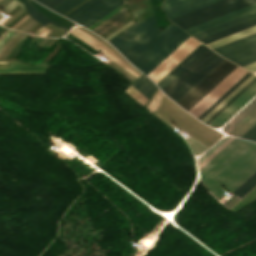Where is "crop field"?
I'll list each match as a JSON object with an SVG mask.
<instances>
[{
  "label": "crop field",
  "instance_id": "crop-field-48",
  "mask_svg": "<svg viewBox=\"0 0 256 256\" xmlns=\"http://www.w3.org/2000/svg\"><path fill=\"white\" fill-rule=\"evenodd\" d=\"M26 16V15H25ZM29 16L27 15L26 17H24L22 20H20L17 24H15L13 27H11V29L16 28L18 25H20L24 20H26Z\"/></svg>",
  "mask_w": 256,
  "mask_h": 256
},
{
  "label": "crop field",
  "instance_id": "crop-field-45",
  "mask_svg": "<svg viewBox=\"0 0 256 256\" xmlns=\"http://www.w3.org/2000/svg\"><path fill=\"white\" fill-rule=\"evenodd\" d=\"M113 64L115 67H117L118 69H120L121 71H123L125 74H127L128 76H130L132 79L135 80L136 77L132 76L131 74H129L128 72H126L125 70H123L121 67H119L117 64H115L114 62L111 63Z\"/></svg>",
  "mask_w": 256,
  "mask_h": 256
},
{
  "label": "crop field",
  "instance_id": "crop-field-35",
  "mask_svg": "<svg viewBox=\"0 0 256 256\" xmlns=\"http://www.w3.org/2000/svg\"><path fill=\"white\" fill-rule=\"evenodd\" d=\"M229 137H226L215 144L210 150H208L203 156L200 157L199 164L203 162L209 155H211L222 143H224Z\"/></svg>",
  "mask_w": 256,
  "mask_h": 256
},
{
  "label": "crop field",
  "instance_id": "crop-field-22",
  "mask_svg": "<svg viewBox=\"0 0 256 256\" xmlns=\"http://www.w3.org/2000/svg\"><path fill=\"white\" fill-rule=\"evenodd\" d=\"M28 14L34 18L36 21H38L39 23L43 24V25H46L48 24L49 22L65 31L68 32L69 29L61 26V25H58L56 23H54L52 20H50L49 18L45 17L44 15L40 14L35 8H33L29 2L26 0L23 2Z\"/></svg>",
  "mask_w": 256,
  "mask_h": 256
},
{
  "label": "crop field",
  "instance_id": "crop-field-39",
  "mask_svg": "<svg viewBox=\"0 0 256 256\" xmlns=\"http://www.w3.org/2000/svg\"><path fill=\"white\" fill-rule=\"evenodd\" d=\"M234 138L231 137L228 141H226L220 148H218L208 159H206L200 166H198V169H200L202 166H204L211 158H213L221 149H223L230 141H232Z\"/></svg>",
  "mask_w": 256,
  "mask_h": 256
},
{
  "label": "crop field",
  "instance_id": "crop-field-11",
  "mask_svg": "<svg viewBox=\"0 0 256 256\" xmlns=\"http://www.w3.org/2000/svg\"><path fill=\"white\" fill-rule=\"evenodd\" d=\"M256 96V82L253 83L245 92H243L234 102H232L224 111H222L208 125L211 127H221L252 98Z\"/></svg>",
  "mask_w": 256,
  "mask_h": 256
},
{
  "label": "crop field",
  "instance_id": "crop-field-52",
  "mask_svg": "<svg viewBox=\"0 0 256 256\" xmlns=\"http://www.w3.org/2000/svg\"><path fill=\"white\" fill-rule=\"evenodd\" d=\"M16 34H17V33H16ZM16 34H14L13 36H11V37L7 40V42H8L12 37H14ZM7 42H6V43H7ZM6 43H5V44H6ZM5 44H4V45H5ZM4 45H3V46H4ZM3 46H2V47H3ZM2 47L0 48V50L2 49Z\"/></svg>",
  "mask_w": 256,
  "mask_h": 256
},
{
  "label": "crop field",
  "instance_id": "crop-field-21",
  "mask_svg": "<svg viewBox=\"0 0 256 256\" xmlns=\"http://www.w3.org/2000/svg\"><path fill=\"white\" fill-rule=\"evenodd\" d=\"M254 123H256V108L249 115H247L237 126H235L230 132L232 135L240 137ZM228 134L230 135V133Z\"/></svg>",
  "mask_w": 256,
  "mask_h": 256
},
{
  "label": "crop field",
  "instance_id": "crop-field-49",
  "mask_svg": "<svg viewBox=\"0 0 256 256\" xmlns=\"http://www.w3.org/2000/svg\"><path fill=\"white\" fill-rule=\"evenodd\" d=\"M9 1H10V0H1V1H0V8H1L2 6H4L6 3H8ZM6 5H7V4H6ZM6 5H5V6H6ZM2 8H3V7H2ZM2 8H1V9H2ZM1 9H0V10H1Z\"/></svg>",
  "mask_w": 256,
  "mask_h": 256
},
{
  "label": "crop field",
  "instance_id": "crop-field-24",
  "mask_svg": "<svg viewBox=\"0 0 256 256\" xmlns=\"http://www.w3.org/2000/svg\"><path fill=\"white\" fill-rule=\"evenodd\" d=\"M254 77L255 75L252 74L238 88H236L227 98H225L217 107H215L207 116H205L201 121L205 123L210 117H212L223 105H225L236 93H238Z\"/></svg>",
  "mask_w": 256,
  "mask_h": 256
},
{
  "label": "crop field",
  "instance_id": "crop-field-33",
  "mask_svg": "<svg viewBox=\"0 0 256 256\" xmlns=\"http://www.w3.org/2000/svg\"><path fill=\"white\" fill-rule=\"evenodd\" d=\"M256 81V77L249 82L238 94H236L225 106H223L212 118H210L206 123L208 124L212 119H214L222 110H224L233 100H235L243 91H245L253 82Z\"/></svg>",
  "mask_w": 256,
  "mask_h": 256
},
{
  "label": "crop field",
  "instance_id": "crop-field-9",
  "mask_svg": "<svg viewBox=\"0 0 256 256\" xmlns=\"http://www.w3.org/2000/svg\"><path fill=\"white\" fill-rule=\"evenodd\" d=\"M200 42L193 37H189L175 51H173L164 61H162L148 76L156 83L163 78L172 68H174L183 58H185Z\"/></svg>",
  "mask_w": 256,
  "mask_h": 256
},
{
  "label": "crop field",
  "instance_id": "crop-field-3",
  "mask_svg": "<svg viewBox=\"0 0 256 256\" xmlns=\"http://www.w3.org/2000/svg\"><path fill=\"white\" fill-rule=\"evenodd\" d=\"M223 61L208 49L162 91L177 103Z\"/></svg>",
  "mask_w": 256,
  "mask_h": 256
},
{
  "label": "crop field",
  "instance_id": "crop-field-16",
  "mask_svg": "<svg viewBox=\"0 0 256 256\" xmlns=\"http://www.w3.org/2000/svg\"><path fill=\"white\" fill-rule=\"evenodd\" d=\"M199 47V46H198ZM197 47V48H198ZM208 48L201 45L189 57H187L181 64H179L172 72H170L163 80L158 83L161 90L167 86L175 77H177L184 69H186L193 61H195Z\"/></svg>",
  "mask_w": 256,
  "mask_h": 256
},
{
  "label": "crop field",
  "instance_id": "crop-field-56",
  "mask_svg": "<svg viewBox=\"0 0 256 256\" xmlns=\"http://www.w3.org/2000/svg\"><path fill=\"white\" fill-rule=\"evenodd\" d=\"M35 1H37V2H38V1H40V0H35Z\"/></svg>",
  "mask_w": 256,
  "mask_h": 256
},
{
  "label": "crop field",
  "instance_id": "crop-field-57",
  "mask_svg": "<svg viewBox=\"0 0 256 256\" xmlns=\"http://www.w3.org/2000/svg\"><path fill=\"white\" fill-rule=\"evenodd\" d=\"M255 142H256V140H255Z\"/></svg>",
  "mask_w": 256,
  "mask_h": 256
},
{
  "label": "crop field",
  "instance_id": "crop-field-25",
  "mask_svg": "<svg viewBox=\"0 0 256 256\" xmlns=\"http://www.w3.org/2000/svg\"><path fill=\"white\" fill-rule=\"evenodd\" d=\"M255 31H256V26L251 27V28L246 29V30H243V31H241V32L235 33V34H233V35L227 36V37H225V38L219 39V40H217V41L211 42V43L206 44V45L209 46V47H211V48H213V47H215V46L221 45V44H223V43H226V42H229V41H231V40L237 39V38H239V37L245 36V35H247V34L253 33V32H255Z\"/></svg>",
  "mask_w": 256,
  "mask_h": 256
},
{
  "label": "crop field",
  "instance_id": "crop-field-47",
  "mask_svg": "<svg viewBox=\"0 0 256 256\" xmlns=\"http://www.w3.org/2000/svg\"><path fill=\"white\" fill-rule=\"evenodd\" d=\"M156 117H158L161 121H163L165 124L169 125L170 127L174 128L176 131L179 130L177 128H175L174 126H172L171 124H169L168 122H166L164 119H162L159 115L155 114Z\"/></svg>",
  "mask_w": 256,
  "mask_h": 256
},
{
  "label": "crop field",
  "instance_id": "crop-field-46",
  "mask_svg": "<svg viewBox=\"0 0 256 256\" xmlns=\"http://www.w3.org/2000/svg\"><path fill=\"white\" fill-rule=\"evenodd\" d=\"M14 32L10 31L4 38H2L0 40V46L4 43V41L10 36L12 35Z\"/></svg>",
  "mask_w": 256,
  "mask_h": 256
},
{
  "label": "crop field",
  "instance_id": "crop-field-15",
  "mask_svg": "<svg viewBox=\"0 0 256 256\" xmlns=\"http://www.w3.org/2000/svg\"><path fill=\"white\" fill-rule=\"evenodd\" d=\"M254 10H256V4H253V5H250L248 7L242 8L240 10L234 11L232 13L223 15L221 17L215 18L213 20L207 21L205 23L199 24L197 26L191 27V28L186 29V30L189 33L193 34L195 32L201 31L203 29L209 28L211 26L217 25L219 23L225 22L227 20L233 19L235 17H238L240 15L246 14V13L254 11Z\"/></svg>",
  "mask_w": 256,
  "mask_h": 256
},
{
  "label": "crop field",
  "instance_id": "crop-field-14",
  "mask_svg": "<svg viewBox=\"0 0 256 256\" xmlns=\"http://www.w3.org/2000/svg\"><path fill=\"white\" fill-rule=\"evenodd\" d=\"M149 79V78H148ZM145 78L144 76H140L135 82H133L131 85L136 88L142 95H144L147 99L150 96V94L155 89V85ZM129 86L124 92H126L129 96H131L134 100L139 102L141 105L144 106L146 102V98L142 96L136 89H134L132 86Z\"/></svg>",
  "mask_w": 256,
  "mask_h": 256
},
{
  "label": "crop field",
  "instance_id": "crop-field-23",
  "mask_svg": "<svg viewBox=\"0 0 256 256\" xmlns=\"http://www.w3.org/2000/svg\"><path fill=\"white\" fill-rule=\"evenodd\" d=\"M255 107H256V98L253 99L247 106H245L239 113H237L229 122H227V132Z\"/></svg>",
  "mask_w": 256,
  "mask_h": 256
},
{
  "label": "crop field",
  "instance_id": "crop-field-12",
  "mask_svg": "<svg viewBox=\"0 0 256 256\" xmlns=\"http://www.w3.org/2000/svg\"><path fill=\"white\" fill-rule=\"evenodd\" d=\"M216 1L219 0H166L162 7L171 19Z\"/></svg>",
  "mask_w": 256,
  "mask_h": 256
},
{
  "label": "crop field",
  "instance_id": "crop-field-55",
  "mask_svg": "<svg viewBox=\"0 0 256 256\" xmlns=\"http://www.w3.org/2000/svg\"><path fill=\"white\" fill-rule=\"evenodd\" d=\"M3 29V27L0 26V31Z\"/></svg>",
  "mask_w": 256,
  "mask_h": 256
},
{
  "label": "crop field",
  "instance_id": "crop-field-53",
  "mask_svg": "<svg viewBox=\"0 0 256 256\" xmlns=\"http://www.w3.org/2000/svg\"><path fill=\"white\" fill-rule=\"evenodd\" d=\"M53 33H54V32L51 31L47 37H50Z\"/></svg>",
  "mask_w": 256,
  "mask_h": 256
},
{
  "label": "crop field",
  "instance_id": "crop-field-40",
  "mask_svg": "<svg viewBox=\"0 0 256 256\" xmlns=\"http://www.w3.org/2000/svg\"><path fill=\"white\" fill-rule=\"evenodd\" d=\"M24 11H23V9L21 8L20 10H18L14 15H12L11 17H10V19L9 20H7L4 24H2L4 27L6 26V25H8L12 20H14L16 17H18L21 13H23Z\"/></svg>",
  "mask_w": 256,
  "mask_h": 256
},
{
  "label": "crop field",
  "instance_id": "crop-field-29",
  "mask_svg": "<svg viewBox=\"0 0 256 256\" xmlns=\"http://www.w3.org/2000/svg\"><path fill=\"white\" fill-rule=\"evenodd\" d=\"M19 33L12 39L10 40L1 50L0 56L3 54V52L7 49V47L17 38ZM24 37V35L20 34L18 38L8 47V49L5 51V53L1 56L0 59H5L6 56L9 54V52L14 48V46Z\"/></svg>",
  "mask_w": 256,
  "mask_h": 256
},
{
  "label": "crop field",
  "instance_id": "crop-field-41",
  "mask_svg": "<svg viewBox=\"0 0 256 256\" xmlns=\"http://www.w3.org/2000/svg\"><path fill=\"white\" fill-rule=\"evenodd\" d=\"M13 1H14V0H13ZM13 1H12V2H13ZM17 1H18V0H15L13 3L11 2L12 4H11V3H10V4L13 5V4H14L15 2H17ZM18 2H19V1H18ZM18 2H17V3H18ZM17 3H15L14 5H16ZM10 4H9V5H10ZM18 4H19V3H18ZM18 4H17V5H18ZM11 5H10V6H11ZM14 5H13V6H14ZM17 5H16V6H17ZM19 5L24 9V7H23V5H22L21 2H20ZM10 6H9V7H10ZM13 6H11V8H12ZM16 6H15V7H16ZM6 7H7V6H6ZM6 7H5V8H6ZM9 7H7L6 9H8ZM5 8H4V9H5ZM13 8H14V7H13ZM13 8H12V9H13ZM4 9H2V10H4ZM6 9H5V10H6ZM12 9H11V10H12ZM2 10H1V11H2ZM5 10H4V11H5ZM8 10H10V8H9ZM8 10H6L5 12L3 11V12L6 13ZM11 10H10V11H11ZM24 10H25V9H24ZM1 11H0V12H1ZM3 12H1V13H3ZM8 12H9V11H8ZM8 12H7V13H8ZM1 13H0V14H1ZM4 13H3V14H4ZM7 13H6V14H7ZM3 14H1L0 16H2ZM6 14H4L3 16H5ZM3 16H2V17H3ZM2 17H1V18H2ZM1 18H0V19H1Z\"/></svg>",
  "mask_w": 256,
  "mask_h": 256
},
{
  "label": "crop field",
  "instance_id": "crop-field-6",
  "mask_svg": "<svg viewBox=\"0 0 256 256\" xmlns=\"http://www.w3.org/2000/svg\"><path fill=\"white\" fill-rule=\"evenodd\" d=\"M237 67L225 60L177 104L188 111Z\"/></svg>",
  "mask_w": 256,
  "mask_h": 256
},
{
  "label": "crop field",
  "instance_id": "crop-field-31",
  "mask_svg": "<svg viewBox=\"0 0 256 256\" xmlns=\"http://www.w3.org/2000/svg\"><path fill=\"white\" fill-rule=\"evenodd\" d=\"M162 93H161V91L158 89V91L155 93V95L153 96V98H152V100H151V102H150V104H149V106H148V110H150L152 113H154V111H155V109H156V107H157V105H158V103H159V101H160V99H161V97H162Z\"/></svg>",
  "mask_w": 256,
  "mask_h": 256
},
{
  "label": "crop field",
  "instance_id": "crop-field-1",
  "mask_svg": "<svg viewBox=\"0 0 256 256\" xmlns=\"http://www.w3.org/2000/svg\"><path fill=\"white\" fill-rule=\"evenodd\" d=\"M159 31L153 16L132 25L109 43L147 75L190 36L173 23L156 37Z\"/></svg>",
  "mask_w": 256,
  "mask_h": 256
},
{
  "label": "crop field",
  "instance_id": "crop-field-20",
  "mask_svg": "<svg viewBox=\"0 0 256 256\" xmlns=\"http://www.w3.org/2000/svg\"><path fill=\"white\" fill-rule=\"evenodd\" d=\"M254 25H256V19L251 20V21L246 22V23H243V24H241V25L232 27V28H230V29L224 30V31H222V32L213 34V35H211V36L205 37V38H203V39H200V41H202L204 44H206V43H208V42L214 41V40H216V39L222 38V37H224V36L230 35V34H232V33L238 32V31H240V30L246 29V28L251 27V26H254Z\"/></svg>",
  "mask_w": 256,
  "mask_h": 256
},
{
  "label": "crop field",
  "instance_id": "crop-field-26",
  "mask_svg": "<svg viewBox=\"0 0 256 256\" xmlns=\"http://www.w3.org/2000/svg\"><path fill=\"white\" fill-rule=\"evenodd\" d=\"M256 185V172L247 180L245 181L237 190L233 192V194L243 197L247 194L254 186Z\"/></svg>",
  "mask_w": 256,
  "mask_h": 256
},
{
  "label": "crop field",
  "instance_id": "crop-field-18",
  "mask_svg": "<svg viewBox=\"0 0 256 256\" xmlns=\"http://www.w3.org/2000/svg\"><path fill=\"white\" fill-rule=\"evenodd\" d=\"M254 18H256V11L253 12V13L247 14V15H245V16L236 18V19H234V20L228 21V22H226V23L217 25V26H215V27L206 29V30H204V31L198 32V33L193 34V35H194L196 38L200 39V38H203V37H205V36H208V35H211V34H213V33L222 31V30H224V29H227V28H230V27H232V26L241 24V23H243V22L249 21V20L254 19Z\"/></svg>",
  "mask_w": 256,
  "mask_h": 256
},
{
  "label": "crop field",
  "instance_id": "crop-field-13",
  "mask_svg": "<svg viewBox=\"0 0 256 256\" xmlns=\"http://www.w3.org/2000/svg\"><path fill=\"white\" fill-rule=\"evenodd\" d=\"M71 34H73L74 36L78 37L79 39L83 40L84 42L88 43L89 45H91L92 47H94L95 49H97L99 52H101L102 54H104L105 56H107L108 58H110L111 60H113L115 63H117L119 66H121L123 69H125L126 71H128L129 73L133 74L134 76H136L135 74H137L136 72H134L130 67H128L120 58H118L109 48H107L105 45L102 46L103 44L100 43L98 40H96L95 38H93L92 36L88 35L87 33H85L84 31L80 30L79 28L75 27L70 31ZM116 57L120 62H122L126 67H128L131 71H133L134 73H132L128 68H126L122 63H120L116 58ZM138 75V74H137ZM139 76V75H138ZM136 76V77H138Z\"/></svg>",
  "mask_w": 256,
  "mask_h": 256
},
{
  "label": "crop field",
  "instance_id": "crop-field-42",
  "mask_svg": "<svg viewBox=\"0 0 256 256\" xmlns=\"http://www.w3.org/2000/svg\"><path fill=\"white\" fill-rule=\"evenodd\" d=\"M133 21H130L129 23H127L126 25H124L122 28H120L119 30H117L116 32H114L113 34H111L110 36H108L107 38H105L106 40L111 39L112 37H114L116 34H118L119 32H121L122 30H124L126 27H128L130 24H132Z\"/></svg>",
  "mask_w": 256,
  "mask_h": 256
},
{
  "label": "crop field",
  "instance_id": "crop-field-8",
  "mask_svg": "<svg viewBox=\"0 0 256 256\" xmlns=\"http://www.w3.org/2000/svg\"><path fill=\"white\" fill-rule=\"evenodd\" d=\"M213 49L243 67L256 61V33Z\"/></svg>",
  "mask_w": 256,
  "mask_h": 256
},
{
  "label": "crop field",
  "instance_id": "crop-field-7",
  "mask_svg": "<svg viewBox=\"0 0 256 256\" xmlns=\"http://www.w3.org/2000/svg\"><path fill=\"white\" fill-rule=\"evenodd\" d=\"M121 4L123 0H89L66 17L88 28Z\"/></svg>",
  "mask_w": 256,
  "mask_h": 256
},
{
  "label": "crop field",
  "instance_id": "crop-field-38",
  "mask_svg": "<svg viewBox=\"0 0 256 256\" xmlns=\"http://www.w3.org/2000/svg\"><path fill=\"white\" fill-rule=\"evenodd\" d=\"M31 20H32V19L29 17L26 21H24V22H23L20 26H18L15 30H19L20 28H22L25 24H27V23H28L29 21H31ZM32 21H33V20H32ZM32 21H31V22H32ZM31 22H29V23H31ZM29 23H28V24H29ZM34 23H35V22L33 21L31 24H29V25L27 24V25H28V26L26 25L27 27H26V26L23 27V28L26 27L25 29L22 28L23 30L20 29L19 31L22 30V32H24L26 29H28V28H29L32 24H34ZM37 24H38V23L36 22V23H35L34 25H32L28 30H26L25 33H27L28 31H30V30H31L33 27H35Z\"/></svg>",
  "mask_w": 256,
  "mask_h": 256
},
{
  "label": "crop field",
  "instance_id": "crop-field-44",
  "mask_svg": "<svg viewBox=\"0 0 256 256\" xmlns=\"http://www.w3.org/2000/svg\"><path fill=\"white\" fill-rule=\"evenodd\" d=\"M244 68L251 71V72H254V71H256V63H254L252 65H249V66H246Z\"/></svg>",
  "mask_w": 256,
  "mask_h": 256
},
{
  "label": "crop field",
  "instance_id": "crop-field-28",
  "mask_svg": "<svg viewBox=\"0 0 256 256\" xmlns=\"http://www.w3.org/2000/svg\"><path fill=\"white\" fill-rule=\"evenodd\" d=\"M83 1L84 0H68L67 2L56 8L54 11L63 15Z\"/></svg>",
  "mask_w": 256,
  "mask_h": 256
},
{
  "label": "crop field",
  "instance_id": "crop-field-43",
  "mask_svg": "<svg viewBox=\"0 0 256 256\" xmlns=\"http://www.w3.org/2000/svg\"><path fill=\"white\" fill-rule=\"evenodd\" d=\"M46 27L52 29L53 31L57 32L58 34H60L62 36L66 33V32H64V31H62V30L52 26L50 23L48 25H46Z\"/></svg>",
  "mask_w": 256,
  "mask_h": 256
},
{
  "label": "crop field",
  "instance_id": "crop-field-27",
  "mask_svg": "<svg viewBox=\"0 0 256 256\" xmlns=\"http://www.w3.org/2000/svg\"><path fill=\"white\" fill-rule=\"evenodd\" d=\"M251 73H247L244 77H242L234 86H232L223 96H221L213 105H211L203 114H201L198 119H202L205 115H207L215 106H217L226 96H228L236 87H238L246 78H248Z\"/></svg>",
  "mask_w": 256,
  "mask_h": 256
},
{
  "label": "crop field",
  "instance_id": "crop-field-5",
  "mask_svg": "<svg viewBox=\"0 0 256 256\" xmlns=\"http://www.w3.org/2000/svg\"><path fill=\"white\" fill-rule=\"evenodd\" d=\"M163 98H165L167 101H169L171 104H173L175 107H177L179 110H181L183 113H185L189 118H191L192 120H194V121H196V122H198V123H200L201 125H203L204 127H206L207 129H209V130H211V131H213V132H215V133H217V134H219V135H221V136H223L222 134H220L219 132H217V131H215V130H213V129H211V128H209V127H207V126H205L204 124H202L201 122H199L198 120H196L194 117H192L190 114H188L187 112H185L183 109H181L179 106H177L175 103H173L171 100H169L167 97H163ZM165 99H162V101L163 102H165L169 107H171L174 111H176L177 113H179L180 115H182L183 117H185L186 119H188L189 121H191L192 123H194V124H196L197 126H199L200 128H202L203 130H205V131H207L208 133H210V134H212V135H214L215 137H217V138H221V136H219V135H217V134H215V133H213V132H211V131H209V130H207L206 128H204L203 126H201V125H199V124H197V123H195V122H193L191 119H189L185 114H183L181 111H179L177 108H175L173 105H171L169 102H167ZM160 102V104L161 105H163L165 108H167L169 111H171L173 114H175L177 117H179L180 119H182L183 121H185V122H187L188 124H190L191 126H193L194 128H196L197 130H199V131H201L202 133H204L205 135H207L208 137H210V138H212V139H214V140H219V139H217V138H215L214 136H212V135H210V134H208L207 132H205V131H203L202 129H200L199 127H197V126H195L194 124H192L191 122H189L188 120H186L185 118H183L182 116H180L179 114H177L176 112H174L172 109H170L166 104H164L163 102ZM161 105H159V107L160 108H162L164 111H166L169 115H171L173 118H175L176 120H178L179 122H181L182 124H184L185 126H187V127H189V128H191L192 130H194V131H196V132H198L199 134H201V135H203L204 137H206L207 139H209V140H211L212 142H216V141H214V140H212V139H210V138H208L207 136H205L204 134H202V133H200L199 131H197L196 129H194L193 127H191L190 125H188L187 123H185V122H183L182 120H180L179 118H177L175 115H173L171 112H169L167 109H165L163 106H161ZM160 108H158V110H157V112H159L161 115H163L165 118H167L169 121H171L172 123H174L176 126H178L180 129H182V130H184L185 132H187V133H189V134H191V135H193L194 137H196V138H198L199 140H201V141H203V142H205L206 144H208V145H213L214 143H212V142H210L209 140H207L206 138H204V137H202L201 135H199L198 133H196V132H194V131H192L191 129H189V128H187V127H185L184 125H182L181 123H179L178 121H176L175 119H173L171 116H169L167 113H165L162 109H160ZM156 112V113H157ZM158 114V113H157ZM159 114V115H160ZM160 115V116H161ZM163 116H161V117H163ZM163 117V118H164ZM164 118V119H165ZM167 119H165V120H167ZM167 120V121H168ZM168 121V122H169ZM170 122V123H171ZM171 123V124H172ZM174 124H172V125H174ZM174 125V126H175ZM175 126V127H176ZM177 127V128H178ZM190 135V136H191ZM192 136V137H193ZM193 137V138H194ZM195 138V139H196ZM198 139H196V140H198ZM198 140V141H199ZM200 141V142H201ZM202 142V143H203ZM204 143V144H205ZM205 144V145H206ZM207 145V146H208ZM209 146V147H210Z\"/></svg>",
  "mask_w": 256,
  "mask_h": 256
},
{
  "label": "crop field",
  "instance_id": "crop-field-54",
  "mask_svg": "<svg viewBox=\"0 0 256 256\" xmlns=\"http://www.w3.org/2000/svg\"><path fill=\"white\" fill-rule=\"evenodd\" d=\"M8 32H9V30H8L5 34H3V35L0 37V39H1L4 35H6Z\"/></svg>",
  "mask_w": 256,
  "mask_h": 256
},
{
  "label": "crop field",
  "instance_id": "crop-field-58",
  "mask_svg": "<svg viewBox=\"0 0 256 256\" xmlns=\"http://www.w3.org/2000/svg\"><path fill=\"white\" fill-rule=\"evenodd\" d=\"M22 1H24V0H22Z\"/></svg>",
  "mask_w": 256,
  "mask_h": 256
},
{
  "label": "crop field",
  "instance_id": "crop-field-17",
  "mask_svg": "<svg viewBox=\"0 0 256 256\" xmlns=\"http://www.w3.org/2000/svg\"><path fill=\"white\" fill-rule=\"evenodd\" d=\"M0 68H9L1 69L0 75L45 73L47 69L46 66H28L12 61H10L9 67L0 66Z\"/></svg>",
  "mask_w": 256,
  "mask_h": 256
},
{
  "label": "crop field",
  "instance_id": "crop-field-51",
  "mask_svg": "<svg viewBox=\"0 0 256 256\" xmlns=\"http://www.w3.org/2000/svg\"><path fill=\"white\" fill-rule=\"evenodd\" d=\"M47 40H48L47 38H44V40L41 42L40 46L42 47L46 43Z\"/></svg>",
  "mask_w": 256,
  "mask_h": 256
},
{
  "label": "crop field",
  "instance_id": "crop-field-19",
  "mask_svg": "<svg viewBox=\"0 0 256 256\" xmlns=\"http://www.w3.org/2000/svg\"><path fill=\"white\" fill-rule=\"evenodd\" d=\"M128 17L130 16L124 9L92 31L101 36L113 27H115L116 25H118L119 23H121L122 21H124L125 19H127Z\"/></svg>",
  "mask_w": 256,
  "mask_h": 256
},
{
  "label": "crop field",
  "instance_id": "crop-field-34",
  "mask_svg": "<svg viewBox=\"0 0 256 256\" xmlns=\"http://www.w3.org/2000/svg\"><path fill=\"white\" fill-rule=\"evenodd\" d=\"M66 38L76 42L77 44H79L80 46H82L83 48L87 49L88 51H90L91 53L95 54L98 53L95 49H93L91 46H89L88 44L84 43L83 41L79 40L78 38L74 37L71 34H68L66 36Z\"/></svg>",
  "mask_w": 256,
  "mask_h": 256
},
{
  "label": "crop field",
  "instance_id": "crop-field-32",
  "mask_svg": "<svg viewBox=\"0 0 256 256\" xmlns=\"http://www.w3.org/2000/svg\"><path fill=\"white\" fill-rule=\"evenodd\" d=\"M65 1L67 0H41L39 3L53 10Z\"/></svg>",
  "mask_w": 256,
  "mask_h": 256
},
{
  "label": "crop field",
  "instance_id": "crop-field-10",
  "mask_svg": "<svg viewBox=\"0 0 256 256\" xmlns=\"http://www.w3.org/2000/svg\"><path fill=\"white\" fill-rule=\"evenodd\" d=\"M247 72L248 71L238 67L188 112L197 118Z\"/></svg>",
  "mask_w": 256,
  "mask_h": 256
},
{
  "label": "crop field",
  "instance_id": "crop-field-4",
  "mask_svg": "<svg viewBox=\"0 0 256 256\" xmlns=\"http://www.w3.org/2000/svg\"><path fill=\"white\" fill-rule=\"evenodd\" d=\"M253 3H256V0H222L171 19V21L186 29Z\"/></svg>",
  "mask_w": 256,
  "mask_h": 256
},
{
  "label": "crop field",
  "instance_id": "crop-field-30",
  "mask_svg": "<svg viewBox=\"0 0 256 256\" xmlns=\"http://www.w3.org/2000/svg\"><path fill=\"white\" fill-rule=\"evenodd\" d=\"M186 140L191 144V146L194 149L196 155L201 154L202 152H204L206 149L209 148V147L205 146L204 144L196 141L195 139H193L191 137L186 139Z\"/></svg>",
  "mask_w": 256,
  "mask_h": 256
},
{
  "label": "crop field",
  "instance_id": "crop-field-37",
  "mask_svg": "<svg viewBox=\"0 0 256 256\" xmlns=\"http://www.w3.org/2000/svg\"><path fill=\"white\" fill-rule=\"evenodd\" d=\"M82 30H84L85 32H87L88 34L92 35L93 37H95L96 39H98L99 41H101L102 43H104L107 47H109L116 55H118L128 66H130L107 42L103 41L102 39H100L97 35L87 31L86 29L79 27ZM132 69H134L132 66H130ZM135 70V69H134ZM136 71V70H135ZM137 72V71H136ZM139 73V72H138ZM140 74V73H139ZM141 75V74H140Z\"/></svg>",
  "mask_w": 256,
  "mask_h": 256
},
{
  "label": "crop field",
  "instance_id": "crop-field-36",
  "mask_svg": "<svg viewBox=\"0 0 256 256\" xmlns=\"http://www.w3.org/2000/svg\"><path fill=\"white\" fill-rule=\"evenodd\" d=\"M241 138L254 141L256 139V124L253 125L245 134H243Z\"/></svg>",
  "mask_w": 256,
  "mask_h": 256
},
{
  "label": "crop field",
  "instance_id": "crop-field-50",
  "mask_svg": "<svg viewBox=\"0 0 256 256\" xmlns=\"http://www.w3.org/2000/svg\"><path fill=\"white\" fill-rule=\"evenodd\" d=\"M9 61H0V65H7L8 66Z\"/></svg>",
  "mask_w": 256,
  "mask_h": 256
},
{
  "label": "crop field",
  "instance_id": "crop-field-2",
  "mask_svg": "<svg viewBox=\"0 0 256 256\" xmlns=\"http://www.w3.org/2000/svg\"><path fill=\"white\" fill-rule=\"evenodd\" d=\"M255 171L256 143L235 138L200 170V180L220 200Z\"/></svg>",
  "mask_w": 256,
  "mask_h": 256
}]
</instances>
